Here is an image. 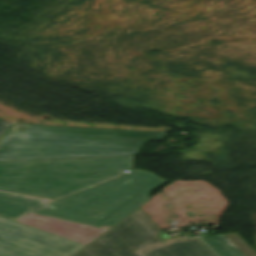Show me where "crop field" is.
Segmentation results:
<instances>
[{"instance_id":"obj_8","label":"crop field","mask_w":256,"mask_h":256,"mask_svg":"<svg viewBox=\"0 0 256 256\" xmlns=\"http://www.w3.org/2000/svg\"><path fill=\"white\" fill-rule=\"evenodd\" d=\"M27 130L28 129H24V128L13 126L7 133H22V132H25Z\"/></svg>"},{"instance_id":"obj_1","label":"crop field","mask_w":256,"mask_h":256,"mask_svg":"<svg viewBox=\"0 0 256 256\" xmlns=\"http://www.w3.org/2000/svg\"><path fill=\"white\" fill-rule=\"evenodd\" d=\"M167 181L133 169L124 177L56 201L0 192V215L15 220L32 212L97 228L111 227L147 202L151 189Z\"/></svg>"},{"instance_id":"obj_2","label":"crop field","mask_w":256,"mask_h":256,"mask_svg":"<svg viewBox=\"0 0 256 256\" xmlns=\"http://www.w3.org/2000/svg\"><path fill=\"white\" fill-rule=\"evenodd\" d=\"M7 134L0 140V160L73 158L135 155L146 140L162 139L164 133L40 125Z\"/></svg>"},{"instance_id":"obj_5","label":"crop field","mask_w":256,"mask_h":256,"mask_svg":"<svg viewBox=\"0 0 256 256\" xmlns=\"http://www.w3.org/2000/svg\"><path fill=\"white\" fill-rule=\"evenodd\" d=\"M84 246L0 216V256H72Z\"/></svg>"},{"instance_id":"obj_7","label":"crop field","mask_w":256,"mask_h":256,"mask_svg":"<svg viewBox=\"0 0 256 256\" xmlns=\"http://www.w3.org/2000/svg\"><path fill=\"white\" fill-rule=\"evenodd\" d=\"M10 124L0 120V136H2L9 128Z\"/></svg>"},{"instance_id":"obj_6","label":"crop field","mask_w":256,"mask_h":256,"mask_svg":"<svg viewBox=\"0 0 256 256\" xmlns=\"http://www.w3.org/2000/svg\"><path fill=\"white\" fill-rule=\"evenodd\" d=\"M202 240L219 256H256L237 234L204 237Z\"/></svg>"},{"instance_id":"obj_3","label":"crop field","mask_w":256,"mask_h":256,"mask_svg":"<svg viewBox=\"0 0 256 256\" xmlns=\"http://www.w3.org/2000/svg\"><path fill=\"white\" fill-rule=\"evenodd\" d=\"M133 156L0 161V190L55 199L132 170Z\"/></svg>"},{"instance_id":"obj_4","label":"crop field","mask_w":256,"mask_h":256,"mask_svg":"<svg viewBox=\"0 0 256 256\" xmlns=\"http://www.w3.org/2000/svg\"><path fill=\"white\" fill-rule=\"evenodd\" d=\"M139 208L73 256H216L198 238L164 243Z\"/></svg>"}]
</instances>
